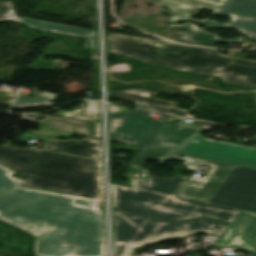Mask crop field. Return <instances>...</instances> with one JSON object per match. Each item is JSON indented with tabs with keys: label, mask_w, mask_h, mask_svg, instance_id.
<instances>
[{
	"label": "crop field",
	"mask_w": 256,
	"mask_h": 256,
	"mask_svg": "<svg viewBox=\"0 0 256 256\" xmlns=\"http://www.w3.org/2000/svg\"><path fill=\"white\" fill-rule=\"evenodd\" d=\"M0 220L37 236L34 256H105V227L97 202L103 198L101 162L45 150L0 147Z\"/></svg>",
	"instance_id": "crop-field-1"
},
{
	"label": "crop field",
	"mask_w": 256,
	"mask_h": 256,
	"mask_svg": "<svg viewBox=\"0 0 256 256\" xmlns=\"http://www.w3.org/2000/svg\"><path fill=\"white\" fill-rule=\"evenodd\" d=\"M112 54L129 56L147 63L202 75H218L223 82L256 87V62L220 56L200 47H187L167 41L111 34Z\"/></svg>",
	"instance_id": "crop-field-2"
},
{
	"label": "crop field",
	"mask_w": 256,
	"mask_h": 256,
	"mask_svg": "<svg viewBox=\"0 0 256 256\" xmlns=\"http://www.w3.org/2000/svg\"><path fill=\"white\" fill-rule=\"evenodd\" d=\"M188 179L148 175L132 179L133 189L111 184L113 208L167 221L205 217L230 225L238 210L175 198Z\"/></svg>",
	"instance_id": "crop-field-3"
},
{
	"label": "crop field",
	"mask_w": 256,
	"mask_h": 256,
	"mask_svg": "<svg viewBox=\"0 0 256 256\" xmlns=\"http://www.w3.org/2000/svg\"><path fill=\"white\" fill-rule=\"evenodd\" d=\"M226 228L227 225L205 219L168 223L114 212V256H130L134 247L151 242L181 239L192 234L210 233L221 236Z\"/></svg>",
	"instance_id": "crop-field-4"
},
{
	"label": "crop field",
	"mask_w": 256,
	"mask_h": 256,
	"mask_svg": "<svg viewBox=\"0 0 256 256\" xmlns=\"http://www.w3.org/2000/svg\"><path fill=\"white\" fill-rule=\"evenodd\" d=\"M147 111L109 105L111 141L148 148L163 122L146 118Z\"/></svg>",
	"instance_id": "crop-field-5"
},
{
	"label": "crop field",
	"mask_w": 256,
	"mask_h": 256,
	"mask_svg": "<svg viewBox=\"0 0 256 256\" xmlns=\"http://www.w3.org/2000/svg\"><path fill=\"white\" fill-rule=\"evenodd\" d=\"M207 203L256 212V170L236 166Z\"/></svg>",
	"instance_id": "crop-field-6"
},
{
	"label": "crop field",
	"mask_w": 256,
	"mask_h": 256,
	"mask_svg": "<svg viewBox=\"0 0 256 256\" xmlns=\"http://www.w3.org/2000/svg\"><path fill=\"white\" fill-rule=\"evenodd\" d=\"M161 4H163L168 13L171 15L172 21L179 20H190L192 22H196L202 25H206L209 27H232L228 24L218 23L212 20L204 19L199 22L193 18L196 13H198L203 8H207L215 11L216 8L200 4L190 0H155ZM168 27L178 28L185 32L184 35L181 36L182 40L189 42H215V43H241L243 37L232 38L229 40H221L218 38V35H212L204 29H197L196 25L191 23H185L184 25H170Z\"/></svg>",
	"instance_id": "crop-field-7"
},
{
	"label": "crop field",
	"mask_w": 256,
	"mask_h": 256,
	"mask_svg": "<svg viewBox=\"0 0 256 256\" xmlns=\"http://www.w3.org/2000/svg\"><path fill=\"white\" fill-rule=\"evenodd\" d=\"M175 152L256 169V149L210 140L197 134Z\"/></svg>",
	"instance_id": "crop-field-8"
},
{
	"label": "crop field",
	"mask_w": 256,
	"mask_h": 256,
	"mask_svg": "<svg viewBox=\"0 0 256 256\" xmlns=\"http://www.w3.org/2000/svg\"><path fill=\"white\" fill-rule=\"evenodd\" d=\"M178 154L172 153L167 158L187 160L184 163L189 169L198 170L201 165L211 167L203 178L191 177L176 197L191 199L206 203L214 194L223 180L227 177L235 165L220 163L185 156L177 157Z\"/></svg>",
	"instance_id": "crop-field-9"
},
{
	"label": "crop field",
	"mask_w": 256,
	"mask_h": 256,
	"mask_svg": "<svg viewBox=\"0 0 256 256\" xmlns=\"http://www.w3.org/2000/svg\"><path fill=\"white\" fill-rule=\"evenodd\" d=\"M2 20L17 21L38 30L83 37L86 38L83 49L96 51L95 44L93 41L96 31L16 17L14 11L12 10L11 2H0V21Z\"/></svg>",
	"instance_id": "crop-field-10"
},
{
	"label": "crop field",
	"mask_w": 256,
	"mask_h": 256,
	"mask_svg": "<svg viewBox=\"0 0 256 256\" xmlns=\"http://www.w3.org/2000/svg\"><path fill=\"white\" fill-rule=\"evenodd\" d=\"M213 14L232 16L230 25L256 39V0H231Z\"/></svg>",
	"instance_id": "crop-field-11"
},
{
	"label": "crop field",
	"mask_w": 256,
	"mask_h": 256,
	"mask_svg": "<svg viewBox=\"0 0 256 256\" xmlns=\"http://www.w3.org/2000/svg\"><path fill=\"white\" fill-rule=\"evenodd\" d=\"M182 120L183 118L168 116L150 148L171 152L178 144L198 129L196 127L180 125ZM168 145L173 147L171 149L166 148Z\"/></svg>",
	"instance_id": "crop-field-12"
},
{
	"label": "crop field",
	"mask_w": 256,
	"mask_h": 256,
	"mask_svg": "<svg viewBox=\"0 0 256 256\" xmlns=\"http://www.w3.org/2000/svg\"><path fill=\"white\" fill-rule=\"evenodd\" d=\"M154 95L155 93L139 89L122 92H108V96L134 101L140 106V108L173 113L182 116H185L188 113L186 111L174 109L177 103L153 99Z\"/></svg>",
	"instance_id": "crop-field-13"
},
{
	"label": "crop field",
	"mask_w": 256,
	"mask_h": 256,
	"mask_svg": "<svg viewBox=\"0 0 256 256\" xmlns=\"http://www.w3.org/2000/svg\"><path fill=\"white\" fill-rule=\"evenodd\" d=\"M44 149L95 159L101 158L100 140L89 137L85 138L81 142L71 139L66 141L52 139L47 142Z\"/></svg>",
	"instance_id": "crop-field-14"
},
{
	"label": "crop field",
	"mask_w": 256,
	"mask_h": 256,
	"mask_svg": "<svg viewBox=\"0 0 256 256\" xmlns=\"http://www.w3.org/2000/svg\"><path fill=\"white\" fill-rule=\"evenodd\" d=\"M44 125L100 139V123L48 116Z\"/></svg>",
	"instance_id": "crop-field-15"
},
{
	"label": "crop field",
	"mask_w": 256,
	"mask_h": 256,
	"mask_svg": "<svg viewBox=\"0 0 256 256\" xmlns=\"http://www.w3.org/2000/svg\"><path fill=\"white\" fill-rule=\"evenodd\" d=\"M231 226L256 247V214L240 211Z\"/></svg>",
	"instance_id": "crop-field-16"
},
{
	"label": "crop field",
	"mask_w": 256,
	"mask_h": 256,
	"mask_svg": "<svg viewBox=\"0 0 256 256\" xmlns=\"http://www.w3.org/2000/svg\"><path fill=\"white\" fill-rule=\"evenodd\" d=\"M215 246L228 245L235 250H244L251 252V256H256V249L250 246L240 234L231 226L225 230ZM228 256H242V255H228Z\"/></svg>",
	"instance_id": "crop-field-17"
},
{
	"label": "crop field",
	"mask_w": 256,
	"mask_h": 256,
	"mask_svg": "<svg viewBox=\"0 0 256 256\" xmlns=\"http://www.w3.org/2000/svg\"><path fill=\"white\" fill-rule=\"evenodd\" d=\"M88 105L87 109L76 107L73 108L72 112L67 111H60L56 113V115H60L62 113V116L68 117V118H74V119H83V120H91V121H100V115H99V107L100 104L95 101L86 100L85 101ZM81 111L85 113H80Z\"/></svg>",
	"instance_id": "crop-field-18"
},
{
	"label": "crop field",
	"mask_w": 256,
	"mask_h": 256,
	"mask_svg": "<svg viewBox=\"0 0 256 256\" xmlns=\"http://www.w3.org/2000/svg\"><path fill=\"white\" fill-rule=\"evenodd\" d=\"M55 98L54 95L39 92L35 99L18 96L12 109H25L34 106L47 105L50 106L49 102Z\"/></svg>",
	"instance_id": "crop-field-19"
},
{
	"label": "crop field",
	"mask_w": 256,
	"mask_h": 256,
	"mask_svg": "<svg viewBox=\"0 0 256 256\" xmlns=\"http://www.w3.org/2000/svg\"><path fill=\"white\" fill-rule=\"evenodd\" d=\"M167 154H169V153L140 148V150L138 151L137 155L133 159L131 165L140 167L141 163L144 160H161Z\"/></svg>",
	"instance_id": "crop-field-20"
},
{
	"label": "crop field",
	"mask_w": 256,
	"mask_h": 256,
	"mask_svg": "<svg viewBox=\"0 0 256 256\" xmlns=\"http://www.w3.org/2000/svg\"><path fill=\"white\" fill-rule=\"evenodd\" d=\"M16 98V94H10L0 91V104L12 105Z\"/></svg>",
	"instance_id": "crop-field-21"
},
{
	"label": "crop field",
	"mask_w": 256,
	"mask_h": 256,
	"mask_svg": "<svg viewBox=\"0 0 256 256\" xmlns=\"http://www.w3.org/2000/svg\"><path fill=\"white\" fill-rule=\"evenodd\" d=\"M197 1H201V2H204L206 4L219 7L220 5H222L227 0H197Z\"/></svg>",
	"instance_id": "crop-field-22"
}]
</instances>
